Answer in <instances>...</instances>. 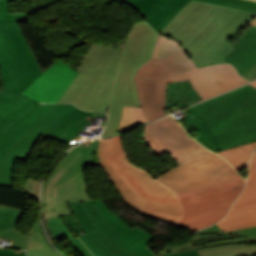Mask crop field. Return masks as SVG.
Instances as JSON below:
<instances>
[{"label":"crop field","instance_id":"dafd665d","mask_svg":"<svg viewBox=\"0 0 256 256\" xmlns=\"http://www.w3.org/2000/svg\"><path fill=\"white\" fill-rule=\"evenodd\" d=\"M23 213V210L0 206V240L12 241L10 248H26L29 236L24 235L15 229Z\"/></svg>","mask_w":256,"mask_h":256},{"label":"crop field","instance_id":"d8731c3e","mask_svg":"<svg viewBox=\"0 0 256 256\" xmlns=\"http://www.w3.org/2000/svg\"><path fill=\"white\" fill-rule=\"evenodd\" d=\"M91 140L75 147L55 165L44 180L42 218L73 214L70 202L91 200L85 169L80 166ZM68 193V195H66Z\"/></svg>","mask_w":256,"mask_h":256},{"label":"crop field","instance_id":"cbeb9de0","mask_svg":"<svg viewBox=\"0 0 256 256\" xmlns=\"http://www.w3.org/2000/svg\"><path fill=\"white\" fill-rule=\"evenodd\" d=\"M76 75L75 70L58 60L22 94L40 102H57Z\"/></svg>","mask_w":256,"mask_h":256},{"label":"crop field","instance_id":"b54c1fbb","mask_svg":"<svg viewBox=\"0 0 256 256\" xmlns=\"http://www.w3.org/2000/svg\"><path fill=\"white\" fill-rule=\"evenodd\" d=\"M251 85L255 86L256 87V82L252 83Z\"/></svg>","mask_w":256,"mask_h":256},{"label":"crop field","instance_id":"dd49c442","mask_svg":"<svg viewBox=\"0 0 256 256\" xmlns=\"http://www.w3.org/2000/svg\"><path fill=\"white\" fill-rule=\"evenodd\" d=\"M183 80H190L204 99L248 83L232 66L226 64L188 71L157 81L136 77L140 105L149 120L165 114L166 83Z\"/></svg>","mask_w":256,"mask_h":256},{"label":"crop field","instance_id":"22f410ed","mask_svg":"<svg viewBox=\"0 0 256 256\" xmlns=\"http://www.w3.org/2000/svg\"><path fill=\"white\" fill-rule=\"evenodd\" d=\"M248 172L245 190L234 202L228 215L216 223L224 232L256 226V152Z\"/></svg>","mask_w":256,"mask_h":256},{"label":"crop field","instance_id":"028f5c9d","mask_svg":"<svg viewBox=\"0 0 256 256\" xmlns=\"http://www.w3.org/2000/svg\"><path fill=\"white\" fill-rule=\"evenodd\" d=\"M24 189L35 199L39 200L40 181L28 178Z\"/></svg>","mask_w":256,"mask_h":256},{"label":"crop field","instance_id":"00972430","mask_svg":"<svg viewBox=\"0 0 256 256\" xmlns=\"http://www.w3.org/2000/svg\"><path fill=\"white\" fill-rule=\"evenodd\" d=\"M201 100L204 99L194 90L190 81L167 84L166 109L175 105L181 109Z\"/></svg>","mask_w":256,"mask_h":256},{"label":"crop field","instance_id":"28ad6ade","mask_svg":"<svg viewBox=\"0 0 256 256\" xmlns=\"http://www.w3.org/2000/svg\"><path fill=\"white\" fill-rule=\"evenodd\" d=\"M238 175L216 154L189 161L156 178L174 192L203 187Z\"/></svg>","mask_w":256,"mask_h":256},{"label":"crop field","instance_id":"d32e631a","mask_svg":"<svg viewBox=\"0 0 256 256\" xmlns=\"http://www.w3.org/2000/svg\"><path fill=\"white\" fill-rule=\"evenodd\" d=\"M205 2L256 11V2L249 0H201Z\"/></svg>","mask_w":256,"mask_h":256},{"label":"crop field","instance_id":"d1516ede","mask_svg":"<svg viewBox=\"0 0 256 256\" xmlns=\"http://www.w3.org/2000/svg\"><path fill=\"white\" fill-rule=\"evenodd\" d=\"M76 107L72 104H55L49 112L25 134L4 156L0 168V184L10 185L15 159L26 161L41 135L48 137Z\"/></svg>","mask_w":256,"mask_h":256},{"label":"crop field","instance_id":"120bbe31","mask_svg":"<svg viewBox=\"0 0 256 256\" xmlns=\"http://www.w3.org/2000/svg\"><path fill=\"white\" fill-rule=\"evenodd\" d=\"M208 232H220V235L239 234V236H248L249 242L256 243V227L245 228L241 230L224 233L216 224H214L213 226L207 229L197 231L198 234Z\"/></svg>","mask_w":256,"mask_h":256},{"label":"crop field","instance_id":"730fd06b","mask_svg":"<svg viewBox=\"0 0 256 256\" xmlns=\"http://www.w3.org/2000/svg\"><path fill=\"white\" fill-rule=\"evenodd\" d=\"M200 256H256V244L243 243L198 249Z\"/></svg>","mask_w":256,"mask_h":256},{"label":"crop field","instance_id":"750c4746","mask_svg":"<svg viewBox=\"0 0 256 256\" xmlns=\"http://www.w3.org/2000/svg\"><path fill=\"white\" fill-rule=\"evenodd\" d=\"M146 121H148V118L141 108L124 107L118 133L133 128Z\"/></svg>","mask_w":256,"mask_h":256},{"label":"crop field","instance_id":"92a150f3","mask_svg":"<svg viewBox=\"0 0 256 256\" xmlns=\"http://www.w3.org/2000/svg\"><path fill=\"white\" fill-rule=\"evenodd\" d=\"M95 115L105 116V114L84 112L76 108L49 138L71 145L81 139V136H78L80 131L84 130L85 125H88Z\"/></svg>","mask_w":256,"mask_h":256},{"label":"crop field","instance_id":"214f88e0","mask_svg":"<svg viewBox=\"0 0 256 256\" xmlns=\"http://www.w3.org/2000/svg\"><path fill=\"white\" fill-rule=\"evenodd\" d=\"M39 102L18 94L0 92V130L22 116Z\"/></svg>","mask_w":256,"mask_h":256},{"label":"crop field","instance_id":"733c2abd","mask_svg":"<svg viewBox=\"0 0 256 256\" xmlns=\"http://www.w3.org/2000/svg\"><path fill=\"white\" fill-rule=\"evenodd\" d=\"M54 104H39L0 131V164L2 157L27 133Z\"/></svg>","mask_w":256,"mask_h":256},{"label":"crop field","instance_id":"bd1437ed","mask_svg":"<svg viewBox=\"0 0 256 256\" xmlns=\"http://www.w3.org/2000/svg\"><path fill=\"white\" fill-rule=\"evenodd\" d=\"M50 240L59 241L73 238V235L61 221L60 217L43 220Z\"/></svg>","mask_w":256,"mask_h":256},{"label":"crop field","instance_id":"3316defc","mask_svg":"<svg viewBox=\"0 0 256 256\" xmlns=\"http://www.w3.org/2000/svg\"><path fill=\"white\" fill-rule=\"evenodd\" d=\"M170 115L145 125L143 138L159 156L169 153L177 164L202 157L212 152L193 140Z\"/></svg>","mask_w":256,"mask_h":256},{"label":"crop field","instance_id":"34b2d1b8","mask_svg":"<svg viewBox=\"0 0 256 256\" xmlns=\"http://www.w3.org/2000/svg\"><path fill=\"white\" fill-rule=\"evenodd\" d=\"M192 114L179 119L196 139L217 152L256 141V88L248 85L187 108Z\"/></svg>","mask_w":256,"mask_h":256},{"label":"crop field","instance_id":"4a817a6b","mask_svg":"<svg viewBox=\"0 0 256 256\" xmlns=\"http://www.w3.org/2000/svg\"><path fill=\"white\" fill-rule=\"evenodd\" d=\"M97 209L104 217L105 221L124 239L126 240L140 255L154 256L146 247L153 236L147 234L142 229L136 227L132 230L127 227L116 215H114L102 200L94 201Z\"/></svg>","mask_w":256,"mask_h":256},{"label":"crop field","instance_id":"e1f06a70","mask_svg":"<svg viewBox=\"0 0 256 256\" xmlns=\"http://www.w3.org/2000/svg\"><path fill=\"white\" fill-rule=\"evenodd\" d=\"M69 242L81 256H93L78 238L71 239Z\"/></svg>","mask_w":256,"mask_h":256},{"label":"crop field","instance_id":"4177f3b9","mask_svg":"<svg viewBox=\"0 0 256 256\" xmlns=\"http://www.w3.org/2000/svg\"><path fill=\"white\" fill-rule=\"evenodd\" d=\"M191 68L151 57L136 72V76L157 80L182 73Z\"/></svg>","mask_w":256,"mask_h":256},{"label":"crop field","instance_id":"d9b57169","mask_svg":"<svg viewBox=\"0 0 256 256\" xmlns=\"http://www.w3.org/2000/svg\"><path fill=\"white\" fill-rule=\"evenodd\" d=\"M139 11L160 32L175 13L190 0H122ZM155 4V5H153Z\"/></svg>","mask_w":256,"mask_h":256},{"label":"crop field","instance_id":"0bd39190","mask_svg":"<svg viewBox=\"0 0 256 256\" xmlns=\"http://www.w3.org/2000/svg\"><path fill=\"white\" fill-rule=\"evenodd\" d=\"M28 256H60L57 251H35L27 250Z\"/></svg>","mask_w":256,"mask_h":256},{"label":"crop field","instance_id":"b80d0937","mask_svg":"<svg viewBox=\"0 0 256 256\" xmlns=\"http://www.w3.org/2000/svg\"><path fill=\"white\" fill-rule=\"evenodd\" d=\"M0 256H25L24 251H16L7 248H0Z\"/></svg>","mask_w":256,"mask_h":256},{"label":"crop field","instance_id":"5142ce71","mask_svg":"<svg viewBox=\"0 0 256 256\" xmlns=\"http://www.w3.org/2000/svg\"><path fill=\"white\" fill-rule=\"evenodd\" d=\"M71 204L75 217L86 233L80 236V239L95 256H104L113 241L94 224L103 220V217L96 209L93 201H81Z\"/></svg>","mask_w":256,"mask_h":256},{"label":"crop field","instance_id":"a9b5d70f","mask_svg":"<svg viewBox=\"0 0 256 256\" xmlns=\"http://www.w3.org/2000/svg\"><path fill=\"white\" fill-rule=\"evenodd\" d=\"M152 56L163 60L179 63L193 69L196 68L192 60L188 57V55L179 43H176L174 40L167 38L161 34L158 36Z\"/></svg>","mask_w":256,"mask_h":256},{"label":"crop field","instance_id":"d3111659","mask_svg":"<svg viewBox=\"0 0 256 256\" xmlns=\"http://www.w3.org/2000/svg\"><path fill=\"white\" fill-rule=\"evenodd\" d=\"M255 149L256 142L221 151L218 154L225 158L236 170H240L248 166L251 154Z\"/></svg>","mask_w":256,"mask_h":256},{"label":"crop field","instance_id":"e52e79f7","mask_svg":"<svg viewBox=\"0 0 256 256\" xmlns=\"http://www.w3.org/2000/svg\"><path fill=\"white\" fill-rule=\"evenodd\" d=\"M158 34L147 21L136 23L132 28L126 41L112 94L109 122L101 137L111 136L118 132L123 106L140 107L134 74L151 57Z\"/></svg>","mask_w":256,"mask_h":256},{"label":"crop field","instance_id":"c035e120","mask_svg":"<svg viewBox=\"0 0 256 256\" xmlns=\"http://www.w3.org/2000/svg\"><path fill=\"white\" fill-rule=\"evenodd\" d=\"M242 77L251 81L256 79V65L247 71Z\"/></svg>","mask_w":256,"mask_h":256},{"label":"crop field","instance_id":"eef30255","mask_svg":"<svg viewBox=\"0 0 256 256\" xmlns=\"http://www.w3.org/2000/svg\"><path fill=\"white\" fill-rule=\"evenodd\" d=\"M96 225L114 241L106 256H140L104 220L96 223Z\"/></svg>","mask_w":256,"mask_h":256},{"label":"crop field","instance_id":"1d83c4d3","mask_svg":"<svg viewBox=\"0 0 256 256\" xmlns=\"http://www.w3.org/2000/svg\"><path fill=\"white\" fill-rule=\"evenodd\" d=\"M41 223H36L31 237L29 239V245L27 249H36V250H54L50 244L47 242L44 235Z\"/></svg>","mask_w":256,"mask_h":256},{"label":"crop field","instance_id":"412701ff","mask_svg":"<svg viewBox=\"0 0 256 256\" xmlns=\"http://www.w3.org/2000/svg\"><path fill=\"white\" fill-rule=\"evenodd\" d=\"M122 50L91 44L78 75L57 103L71 102L87 111L107 113Z\"/></svg>","mask_w":256,"mask_h":256},{"label":"crop field","instance_id":"ac0d7876","mask_svg":"<svg viewBox=\"0 0 256 256\" xmlns=\"http://www.w3.org/2000/svg\"><path fill=\"white\" fill-rule=\"evenodd\" d=\"M97 153L101 168L135 212L160 222L178 224L184 209L176 193L130 162L122 135L99 140Z\"/></svg>","mask_w":256,"mask_h":256},{"label":"crop field","instance_id":"5a996713","mask_svg":"<svg viewBox=\"0 0 256 256\" xmlns=\"http://www.w3.org/2000/svg\"><path fill=\"white\" fill-rule=\"evenodd\" d=\"M245 180L239 175L222 183L178 193L185 212L177 228H206L223 218Z\"/></svg>","mask_w":256,"mask_h":256},{"label":"crop field","instance_id":"f4fd0767","mask_svg":"<svg viewBox=\"0 0 256 256\" xmlns=\"http://www.w3.org/2000/svg\"><path fill=\"white\" fill-rule=\"evenodd\" d=\"M10 0H0V73L3 88L20 94L42 71L17 24L26 14L8 15Z\"/></svg>","mask_w":256,"mask_h":256},{"label":"crop field","instance_id":"8a807250","mask_svg":"<svg viewBox=\"0 0 256 256\" xmlns=\"http://www.w3.org/2000/svg\"><path fill=\"white\" fill-rule=\"evenodd\" d=\"M255 17L256 12L191 0L161 34L179 42L200 68L227 63L222 58L234 49L227 40Z\"/></svg>","mask_w":256,"mask_h":256},{"label":"crop field","instance_id":"bc2a9ffb","mask_svg":"<svg viewBox=\"0 0 256 256\" xmlns=\"http://www.w3.org/2000/svg\"><path fill=\"white\" fill-rule=\"evenodd\" d=\"M233 46L235 49L223 59L233 65L242 76L256 64V27L246 29Z\"/></svg>","mask_w":256,"mask_h":256},{"label":"crop field","instance_id":"03da06ac","mask_svg":"<svg viewBox=\"0 0 256 256\" xmlns=\"http://www.w3.org/2000/svg\"><path fill=\"white\" fill-rule=\"evenodd\" d=\"M253 1H256V0H253ZM249 24L256 26V18L254 20H252Z\"/></svg>","mask_w":256,"mask_h":256},{"label":"crop field","instance_id":"c21b1889","mask_svg":"<svg viewBox=\"0 0 256 256\" xmlns=\"http://www.w3.org/2000/svg\"><path fill=\"white\" fill-rule=\"evenodd\" d=\"M165 256H199V254L196 252V250H193V251H188L184 253L165 255Z\"/></svg>","mask_w":256,"mask_h":256},{"label":"crop field","instance_id":"ae1a2a85","mask_svg":"<svg viewBox=\"0 0 256 256\" xmlns=\"http://www.w3.org/2000/svg\"><path fill=\"white\" fill-rule=\"evenodd\" d=\"M214 235H219V233H208V234L195 235L190 240H188L186 243H184L182 245L165 246L164 249L158 255L179 253V252L198 249V248H202V247H206V246L248 242L247 237H237V238L219 240V241H215L212 243L201 244L197 247H195L194 245H192L190 243V241L201 239V238H206V237H210V236H214ZM158 255H156V256H158Z\"/></svg>","mask_w":256,"mask_h":256},{"label":"crop field","instance_id":"5866460e","mask_svg":"<svg viewBox=\"0 0 256 256\" xmlns=\"http://www.w3.org/2000/svg\"><path fill=\"white\" fill-rule=\"evenodd\" d=\"M97 142H98V140L91 141L89 148L87 150V153H86L81 165H89V166L99 165L98 159H97V154H96Z\"/></svg>","mask_w":256,"mask_h":256}]
</instances>
